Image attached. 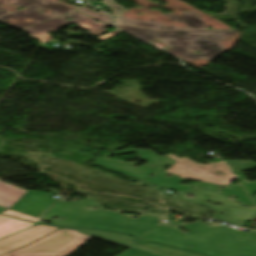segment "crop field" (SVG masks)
I'll list each match as a JSON object with an SVG mask.
<instances>
[{"label":"crop field","instance_id":"obj_4","mask_svg":"<svg viewBox=\"0 0 256 256\" xmlns=\"http://www.w3.org/2000/svg\"><path fill=\"white\" fill-rule=\"evenodd\" d=\"M168 157L179 162L173 165V168L171 167L172 169L166 172L180 175L182 178L206 181L223 186H226L235 179L221 162L214 163L218 165L214 166V164L205 165L196 163L186 157L179 159L171 154L168 155ZM217 171H222L225 175L221 173L218 175Z\"/></svg>","mask_w":256,"mask_h":256},{"label":"crop field","instance_id":"obj_3","mask_svg":"<svg viewBox=\"0 0 256 256\" xmlns=\"http://www.w3.org/2000/svg\"><path fill=\"white\" fill-rule=\"evenodd\" d=\"M13 4L17 7H25L26 9L10 13L0 7V20L9 23V26L23 29L33 24L57 17L66 12L74 11L73 9L57 2L48 0H0V5L7 6ZM47 8L57 14L53 16L43 15L38 8Z\"/></svg>","mask_w":256,"mask_h":256},{"label":"crop field","instance_id":"obj_6","mask_svg":"<svg viewBox=\"0 0 256 256\" xmlns=\"http://www.w3.org/2000/svg\"><path fill=\"white\" fill-rule=\"evenodd\" d=\"M78 231H82L91 235H95L104 239H108L117 243H121L131 247L132 249H136L142 252H146L149 254H153L156 256H204L197 253L186 252L179 249H174L150 242L139 241L133 237H130L125 234H118L112 232L98 231V230H81L76 229Z\"/></svg>","mask_w":256,"mask_h":256},{"label":"crop field","instance_id":"obj_14","mask_svg":"<svg viewBox=\"0 0 256 256\" xmlns=\"http://www.w3.org/2000/svg\"><path fill=\"white\" fill-rule=\"evenodd\" d=\"M119 32H121V31L115 30V31L109 32V33H107V34H105V35L99 37V39H100L101 41H104V40L110 38L111 36H113V35H115V34H117V33H119Z\"/></svg>","mask_w":256,"mask_h":256},{"label":"crop field","instance_id":"obj_5","mask_svg":"<svg viewBox=\"0 0 256 256\" xmlns=\"http://www.w3.org/2000/svg\"><path fill=\"white\" fill-rule=\"evenodd\" d=\"M70 17L74 19L70 21L65 20ZM93 21H94L93 19L75 11L71 14H68L62 17H57V18L36 24L34 26L28 27L23 31L31 35L32 37L36 38L38 41L42 43H47L49 41L56 42V40H54L51 36L47 35V33L50 31L55 32L58 28L71 23H74L79 27L89 31L91 34H93L96 37L107 32L103 28L108 26L102 23H95Z\"/></svg>","mask_w":256,"mask_h":256},{"label":"crop field","instance_id":"obj_8","mask_svg":"<svg viewBox=\"0 0 256 256\" xmlns=\"http://www.w3.org/2000/svg\"><path fill=\"white\" fill-rule=\"evenodd\" d=\"M26 191L0 181V206L9 209Z\"/></svg>","mask_w":256,"mask_h":256},{"label":"crop field","instance_id":"obj_11","mask_svg":"<svg viewBox=\"0 0 256 256\" xmlns=\"http://www.w3.org/2000/svg\"><path fill=\"white\" fill-rule=\"evenodd\" d=\"M234 175L237 177V179L240 181V183L244 186V188L247 190V192L252 197L254 193L256 192V182L248 183L246 182L244 176L241 174V172H233Z\"/></svg>","mask_w":256,"mask_h":256},{"label":"crop field","instance_id":"obj_1","mask_svg":"<svg viewBox=\"0 0 256 256\" xmlns=\"http://www.w3.org/2000/svg\"><path fill=\"white\" fill-rule=\"evenodd\" d=\"M102 2L114 10V18L116 24L124 23L156 30L206 29L199 14L195 12H184L182 17H175L169 13L166 14L167 17L171 20L185 21L189 28L163 27V24L153 21L140 22L136 20L121 18L124 8L116 5L113 0H103ZM117 27L118 29H121L141 40L148 42L161 41L169 45V47L165 50L180 59L190 60L206 58L209 62L226 51V49L219 41L237 31H152L125 25H119ZM194 50L201 51V53L194 54Z\"/></svg>","mask_w":256,"mask_h":256},{"label":"crop field","instance_id":"obj_15","mask_svg":"<svg viewBox=\"0 0 256 256\" xmlns=\"http://www.w3.org/2000/svg\"><path fill=\"white\" fill-rule=\"evenodd\" d=\"M4 210H7V209H4V208H1V207H0V212H2V211H4Z\"/></svg>","mask_w":256,"mask_h":256},{"label":"crop field","instance_id":"obj_9","mask_svg":"<svg viewBox=\"0 0 256 256\" xmlns=\"http://www.w3.org/2000/svg\"><path fill=\"white\" fill-rule=\"evenodd\" d=\"M32 224L33 223L0 215V238L18 230L28 228Z\"/></svg>","mask_w":256,"mask_h":256},{"label":"crop field","instance_id":"obj_2","mask_svg":"<svg viewBox=\"0 0 256 256\" xmlns=\"http://www.w3.org/2000/svg\"><path fill=\"white\" fill-rule=\"evenodd\" d=\"M91 238L75 230L62 229L29 246L2 256H67Z\"/></svg>","mask_w":256,"mask_h":256},{"label":"crop field","instance_id":"obj_7","mask_svg":"<svg viewBox=\"0 0 256 256\" xmlns=\"http://www.w3.org/2000/svg\"><path fill=\"white\" fill-rule=\"evenodd\" d=\"M60 228L34 226L26 231L8 237L0 241V254L27 245L28 243L39 239L49 233H52Z\"/></svg>","mask_w":256,"mask_h":256},{"label":"crop field","instance_id":"obj_12","mask_svg":"<svg viewBox=\"0 0 256 256\" xmlns=\"http://www.w3.org/2000/svg\"><path fill=\"white\" fill-rule=\"evenodd\" d=\"M78 11L86 14V15H89L97 20H100L108 25H112V21H111V18L109 16H106V15H102V14H98V13H95L89 9H86L84 7L78 9Z\"/></svg>","mask_w":256,"mask_h":256},{"label":"crop field","instance_id":"obj_10","mask_svg":"<svg viewBox=\"0 0 256 256\" xmlns=\"http://www.w3.org/2000/svg\"><path fill=\"white\" fill-rule=\"evenodd\" d=\"M231 171H243L256 167V163L252 161H224ZM240 168V170H237Z\"/></svg>","mask_w":256,"mask_h":256},{"label":"crop field","instance_id":"obj_13","mask_svg":"<svg viewBox=\"0 0 256 256\" xmlns=\"http://www.w3.org/2000/svg\"><path fill=\"white\" fill-rule=\"evenodd\" d=\"M0 214L20 218V219L30 221V222H33V223H35V221L37 220V218L31 217V216H28V215H25V214H22V213H19V212L11 211V210L4 211Z\"/></svg>","mask_w":256,"mask_h":256}]
</instances>
